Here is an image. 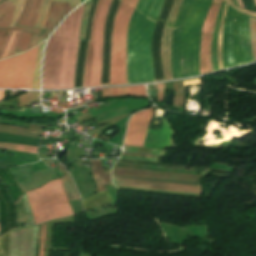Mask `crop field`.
Listing matches in <instances>:
<instances>
[{
	"label": "crop field",
	"instance_id": "9",
	"mask_svg": "<svg viewBox=\"0 0 256 256\" xmlns=\"http://www.w3.org/2000/svg\"><path fill=\"white\" fill-rule=\"evenodd\" d=\"M153 108L133 114L129 121L124 145L142 147L146 131L153 114ZM172 131L164 119L161 131L148 130L143 147L169 148Z\"/></svg>",
	"mask_w": 256,
	"mask_h": 256
},
{
	"label": "crop field",
	"instance_id": "16",
	"mask_svg": "<svg viewBox=\"0 0 256 256\" xmlns=\"http://www.w3.org/2000/svg\"><path fill=\"white\" fill-rule=\"evenodd\" d=\"M224 1L222 2L219 14L217 16L216 25H215V31H214V37H213V43H212V49H211V57H212V67L213 71L218 70L217 68V59H216V46H217V36H218V30L220 26L222 11L224 7Z\"/></svg>",
	"mask_w": 256,
	"mask_h": 256
},
{
	"label": "crop field",
	"instance_id": "32",
	"mask_svg": "<svg viewBox=\"0 0 256 256\" xmlns=\"http://www.w3.org/2000/svg\"><path fill=\"white\" fill-rule=\"evenodd\" d=\"M42 225V224H41ZM41 225L39 227V234H38V243H37V254L36 256H38V249H39V241H40V229H41Z\"/></svg>",
	"mask_w": 256,
	"mask_h": 256
},
{
	"label": "crop field",
	"instance_id": "35",
	"mask_svg": "<svg viewBox=\"0 0 256 256\" xmlns=\"http://www.w3.org/2000/svg\"><path fill=\"white\" fill-rule=\"evenodd\" d=\"M194 84H201V82L184 84V88L187 87L188 85H194Z\"/></svg>",
	"mask_w": 256,
	"mask_h": 256
},
{
	"label": "crop field",
	"instance_id": "14",
	"mask_svg": "<svg viewBox=\"0 0 256 256\" xmlns=\"http://www.w3.org/2000/svg\"><path fill=\"white\" fill-rule=\"evenodd\" d=\"M110 96L114 95H133L148 97L144 86H131L122 88H109Z\"/></svg>",
	"mask_w": 256,
	"mask_h": 256
},
{
	"label": "crop field",
	"instance_id": "33",
	"mask_svg": "<svg viewBox=\"0 0 256 256\" xmlns=\"http://www.w3.org/2000/svg\"><path fill=\"white\" fill-rule=\"evenodd\" d=\"M149 91V94L153 97H155V94H156V90H148Z\"/></svg>",
	"mask_w": 256,
	"mask_h": 256
},
{
	"label": "crop field",
	"instance_id": "13",
	"mask_svg": "<svg viewBox=\"0 0 256 256\" xmlns=\"http://www.w3.org/2000/svg\"><path fill=\"white\" fill-rule=\"evenodd\" d=\"M58 171L67 174V176L62 178L64 192L67 196V199L69 201L79 199L80 197H79L78 191L74 185V182H73L70 174L59 163H58Z\"/></svg>",
	"mask_w": 256,
	"mask_h": 256
},
{
	"label": "crop field",
	"instance_id": "37",
	"mask_svg": "<svg viewBox=\"0 0 256 256\" xmlns=\"http://www.w3.org/2000/svg\"><path fill=\"white\" fill-rule=\"evenodd\" d=\"M238 3H239V5H240L241 7H243V8H244V6H243V4H242L241 0H238Z\"/></svg>",
	"mask_w": 256,
	"mask_h": 256
},
{
	"label": "crop field",
	"instance_id": "1",
	"mask_svg": "<svg viewBox=\"0 0 256 256\" xmlns=\"http://www.w3.org/2000/svg\"><path fill=\"white\" fill-rule=\"evenodd\" d=\"M212 0H184L172 34L171 66L173 78L200 74L201 28ZM222 0H213L202 29L201 74L211 72L210 48L215 19Z\"/></svg>",
	"mask_w": 256,
	"mask_h": 256
},
{
	"label": "crop field",
	"instance_id": "41",
	"mask_svg": "<svg viewBox=\"0 0 256 256\" xmlns=\"http://www.w3.org/2000/svg\"><path fill=\"white\" fill-rule=\"evenodd\" d=\"M1 1V0H0Z\"/></svg>",
	"mask_w": 256,
	"mask_h": 256
},
{
	"label": "crop field",
	"instance_id": "27",
	"mask_svg": "<svg viewBox=\"0 0 256 256\" xmlns=\"http://www.w3.org/2000/svg\"><path fill=\"white\" fill-rule=\"evenodd\" d=\"M122 159H130V160H140V161H151L155 162V159L150 158H139V157H127V156H121Z\"/></svg>",
	"mask_w": 256,
	"mask_h": 256
},
{
	"label": "crop field",
	"instance_id": "6",
	"mask_svg": "<svg viewBox=\"0 0 256 256\" xmlns=\"http://www.w3.org/2000/svg\"><path fill=\"white\" fill-rule=\"evenodd\" d=\"M26 194L35 217V224L74 214L63 192L61 179Z\"/></svg>",
	"mask_w": 256,
	"mask_h": 256
},
{
	"label": "crop field",
	"instance_id": "25",
	"mask_svg": "<svg viewBox=\"0 0 256 256\" xmlns=\"http://www.w3.org/2000/svg\"><path fill=\"white\" fill-rule=\"evenodd\" d=\"M157 87V93H158V101L159 103L162 102L165 94V86L164 83L156 84Z\"/></svg>",
	"mask_w": 256,
	"mask_h": 256
},
{
	"label": "crop field",
	"instance_id": "8",
	"mask_svg": "<svg viewBox=\"0 0 256 256\" xmlns=\"http://www.w3.org/2000/svg\"><path fill=\"white\" fill-rule=\"evenodd\" d=\"M111 0H99L88 43V52L84 69L83 87L100 86L102 65L103 28Z\"/></svg>",
	"mask_w": 256,
	"mask_h": 256
},
{
	"label": "crop field",
	"instance_id": "39",
	"mask_svg": "<svg viewBox=\"0 0 256 256\" xmlns=\"http://www.w3.org/2000/svg\"><path fill=\"white\" fill-rule=\"evenodd\" d=\"M86 41H88V40H86ZM75 88H79V87H75Z\"/></svg>",
	"mask_w": 256,
	"mask_h": 256
},
{
	"label": "crop field",
	"instance_id": "15",
	"mask_svg": "<svg viewBox=\"0 0 256 256\" xmlns=\"http://www.w3.org/2000/svg\"><path fill=\"white\" fill-rule=\"evenodd\" d=\"M21 31H12L0 59L10 57L14 54L16 45L21 36Z\"/></svg>",
	"mask_w": 256,
	"mask_h": 256
},
{
	"label": "crop field",
	"instance_id": "10",
	"mask_svg": "<svg viewBox=\"0 0 256 256\" xmlns=\"http://www.w3.org/2000/svg\"><path fill=\"white\" fill-rule=\"evenodd\" d=\"M38 47L0 61V87L31 89Z\"/></svg>",
	"mask_w": 256,
	"mask_h": 256
},
{
	"label": "crop field",
	"instance_id": "7",
	"mask_svg": "<svg viewBox=\"0 0 256 256\" xmlns=\"http://www.w3.org/2000/svg\"><path fill=\"white\" fill-rule=\"evenodd\" d=\"M138 0H122L112 33L110 84L126 83V33Z\"/></svg>",
	"mask_w": 256,
	"mask_h": 256
},
{
	"label": "crop field",
	"instance_id": "29",
	"mask_svg": "<svg viewBox=\"0 0 256 256\" xmlns=\"http://www.w3.org/2000/svg\"><path fill=\"white\" fill-rule=\"evenodd\" d=\"M38 36L33 35L32 41L30 43L29 49L36 46Z\"/></svg>",
	"mask_w": 256,
	"mask_h": 256
},
{
	"label": "crop field",
	"instance_id": "40",
	"mask_svg": "<svg viewBox=\"0 0 256 256\" xmlns=\"http://www.w3.org/2000/svg\"><path fill=\"white\" fill-rule=\"evenodd\" d=\"M255 2H256V0H255Z\"/></svg>",
	"mask_w": 256,
	"mask_h": 256
},
{
	"label": "crop field",
	"instance_id": "12",
	"mask_svg": "<svg viewBox=\"0 0 256 256\" xmlns=\"http://www.w3.org/2000/svg\"><path fill=\"white\" fill-rule=\"evenodd\" d=\"M171 28H164L161 44V60L165 80L172 79L170 67Z\"/></svg>",
	"mask_w": 256,
	"mask_h": 256
},
{
	"label": "crop field",
	"instance_id": "36",
	"mask_svg": "<svg viewBox=\"0 0 256 256\" xmlns=\"http://www.w3.org/2000/svg\"><path fill=\"white\" fill-rule=\"evenodd\" d=\"M4 91H0V100L3 99Z\"/></svg>",
	"mask_w": 256,
	"mask_h": 256
},
{
	"label": "crop field",
	"instance_id": "19",
	"mask_svg": "<svg viewBox=\"0 0 256 256\" xmlns=\"http://www.w3.org/2000/svg\"><path fill=\"white\" fill-rule=\"evenodd\" d=\"M51 0H43L42 7L35 27L43 28Z\"/></svg>",
	"mask_w": 256,
	"mask_h": 256
},
{
	"label": "crop field",
	"instance_id": "23",
	"mask_svg": "<svg viewBox=\"0 0 256 256\" xmlns=\"http://www.w3.org/2000/svg\"><path fill=\"white\" fill-rule=\"evenodd\" d=\"M182 1L183 0H174L173 6L171 8V11H170L166 21L173 22V23L175 22V20L177 18V15H178V12L180 10Z\"/></svg>",
	"mask_w": 256,
	"mask_h": 256
},
{
	"label": "crop field",
	"instance_id": "30",
	"mask_svg": "<svg viewBox=\"0 0 256 256\" xmlns=\"http://www.w3.org/2000/svg\"><path fill=\"white\" fill-rule=\"evenodd\" d=\"M26 113H37L40 114V110L39 109H25Z\"/></svg>",
	"mask_w": 256,
	"mask_h": 256
},
{
	"label": "crop field",
	"instance_id": "38",
	"mask_svg": "<svg viewBox=\"0 0 256 256\" xmlns=\"http://www.w3.org/2000/svg\"><path fill=\"white\" fill-rule=\"evenodd\" d=\"M236 5H238L237 0H233ZM239 6V5H238Z\"/></svg>",
	"mask_w": 256,
	"mask_h": 256
},
{
	"label": "crop field",
	"instance_id": "11",
	"mask_svg": "<svg viewBox=\"0 0 256 256\" xmlns=\"http://www.w3.org/2000/svg\"><path fill=\"white\" fill-rule=\"evenodd\" d=\"M115 186L139 187L202 194L201 187L113 178Z\"/></svg>",
	"mask_w": 256,
	"mask_h": 256
},
{
	"label": "crop field",
	"instance_id": "24",
	"mask_svg": "<svg viewBox=\"0 0 256 256\" xmlns=\"http://www.w3.org/2000/svg\"><path fill=\"white\" fill-rule=\"evenodd\" d=\"M11 31L0 30V54Z\"/></svg>",
	"mask_w": 256,
	"mask_h": 256
},
{
	"label": "crop field",
	"instance_id": "2",
	"mask_svg": "<svg viewBox=\"0 0 256 256\" xmlns=\"http://www.w3.org/2000/svg\"><path fill=\"white\" fill-rule=\"evenodd\" d=\"M84 5L61 23L50 37L43 66V88H73L78 34Z\"/></svg>",
	"mask_w": 256,
	"mask_h": 256
},
{
	"label": "crop field",
	"instance_id": "22",
	"mask_svg": "<svg viewBox=\"0 0 256 256\" xmlns=\"http://www.w3.org/2000/svg\"><path fill=\"white\" fill-rule=\"evenodd\" d=\"M250 34L254 60H256V19L250 17Z\"/></svg>",
	"mask_w": 256,
	"mask_h": 256
},
{
	"label": "crop field",
	"instance_id": "28",
	"mask_svg": "<svg viewBox=\"0 0 256 256\" xmlns=\"http://www.w3.org/2000/svg\"><path fill=\"white\" fill-rule=\"evenodd\" d=\"M24 4H25V0L22 1V4H21V6H20L19 13H18V16H17V19H16V23H15V24H18V21H19L21 12H22L23 7H24Z\"/></svg>",
	"mask_w": 256,
	"mask_h": 256
},
{
	"label": "crop field",
	"instance_id": "31",
	"mask_svg": "<svg viewBox=\"0 0 256 256\" xmlns=\"http://www.w3.org/2000/svg\"><path fill=\"white\" fill-rule=\"evenodd\" d=\"M163 151H164V150H155V149H153L151 154L162 155Z\"/></svg>",
	"mask_w": 256,
	"mask_h": 256
},
{
	"label": "crop field",
	"instance_id": "21",
	"mask_svg": "<svg viewBox=\"0 0 256 256\" xmlns=\"http://www.w3.org/2000/svg\"><path fill=\"white\" fill-rule=\"evenodd\" d=\"M39 100L38 92H27L18 96L19 106H29V101Z\"/></svg>",
	"mask_w": 256,
	"mask_h": 256
},
{
	"label": "crop field",
	"instance_id": "20",
	"mask_svg": "<svg viewBox=\"0 0 256 256\" xmlns=\"http://www.w3.org/2000/svg\"><path fill=\"white\" fill-rule=\"evenodd\" d=\"M228 4H225L223 16H222V21H221V26H220V31H219V37H218V46H217V58H218V68L219 70L223 69L222 67V55H221V41H222V33H223V23H224V17H225V12L227 10Z\"/></svg>",
	"mask_w": 256,
	"mask_h": 256
},
{
	"label": "crop field",
	"instance_id": "26",
	"mask_svg": "<svg viewBox=\"0 0 256 256\" xmlns=\"http://www.w3.org/2000/svg\"><path fill=\"white\" fill-rule=\"evenodd\" d=\"M225 1L228 2L229 5H231L234 9H236V10H238V11L244 13V14H247V15H251V16L256 17V13H254V12H248V11L242 9V8L235 7V6L233 5V3H232L231 0H225Z\"/></svg>",
	"mask_w": 256,
	"mask_h": 256
},
{
	"label": "crop field",
	"instance_id": "5",
	"mask_svg": "<svg viewBox=\"0 0 256 256\" xmlns=\"http://www.w3.org/2000/svg\"><path fill=\"white\" fill-rule=\"evenodd\" d=\"M224 69L253 60L249 37V17L228 6L222 41ZM252 62V61H251Z\"/></svg>",
	"mask_w": 256,
	"mask_h": 256
},
{
	"label": "crop field",
	"instance_id": "3",
	"mask_svg": "<svg viewBox=\"0 0 256 256\" xmlns=\"http://www.w3.org/2000/svg\"><path fill=\"white\" fill-rule=\"evenodd\" d=\"M164 0H139L127 37V83L155 81L151 39Z\"/></svg>",
	"mask_w": 256,
	"mask_h": 256
},
{
	"label": "crop field",
	"instance_id": "18",
	"mask_svg": "<svg viewBox=\"0 0 256 256\" xmlns=\"http://www.w3.org/2000/svg\"><path fill=\"white\" fill-rule=\"evenodd\" d=\"M44 43L40 44L39 47V53L37 57V64H36V69H35V75H34V81H33V87L32 89H39V82H40V62L42 58V52L44 48Z\"/></svg>",
	"mask_w": 256,
	"mask_h": 256
},
{
	"label": "crop field",
	"instance_id": "4",
	"mask_svg": "<svg viewBox=\"0 0 256 256\" xmlns=\"http://www.w3.org/2000/svg\"><path fill=\"white\" fill-rule=\"evenodd\" d=\"M6 1L7 0L0 3V29L23 31L22 37L17 45L16 51H20V50L27 51L28 45L32 38L33 33L40 36L47 37L48 34L51 32V30H53V28L62 20L63 16L66 15L69 11H71L75 6H77L73 4H79L81 0H66L73 4H70L69 2H66V1L53 0L44 29L34 28L35 22L38 16V12L40 9L41 0L26 1L19 26L7 25V24L15 23V19L18 13L21 0H8L7 3L11 8L6 4ZM7 12H8V16H7ZM6 16H7V19H6ZM5 19H6V22H5ZM4 22L7 24H4ZM40 36H39L38 44L46 39ZM21 52H24V51H21ZM21 52H16L15 55Z\"/></svg>",
	"mask_w": 256,
	"mask_h": 256
},
{
	"label": "crop field",
	"instance_id": "34",
	"mask_svg": "<svg viewBox=\"0 0 256 256\" xmlns=\"http://www.w3.org/2000/svg\"><path fill=\"white\" fill-rule=\"evenodd\" d=\"M0 109H6V110H12V111H20L21 109H12V108H3V107H0Z\"/></svg>",
	"mask_w": 256,
	"mask_h": 256
},
{
	"label": "crop field",
	"instance_id": "17",
	"mask_svg": "<svg viewBox=\"0 0 256 256\" xmlns=\"http://www.w3.org/2000/svg\"><path fill=\"white\" fill-rule=\"evenodd\" d=\"M0 149H7V150H14V151L37 154L38 147L26 146V145H16V144H9V143H0Z\"/></svg>",
	"mask_w": 256,
	"mask_h": 256
}]
</instances>
